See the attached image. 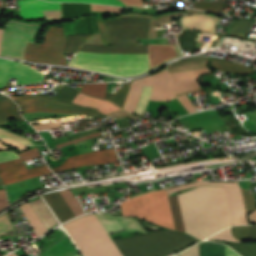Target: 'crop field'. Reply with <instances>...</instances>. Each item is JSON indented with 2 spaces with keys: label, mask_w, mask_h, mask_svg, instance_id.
Here are the masks:
<instances>
[{
  "label": "crop field",
  "mask_w": 256,
  "mask_h": 256,
  "mask_svg": "<svg viewBox=\"0 0 256 256\" xmlns=\"http://www.w3.org/2000/svg\"><path fill=\"white\" fill-rule=\"evenodd\" d=\"M76 256H79V255H76Z\"/></svg>",
  "instance_id": "ae633e8c"
},
{
  "label": "crop field",
  "mask_w": 256,
  "mask_h": 256,
  "mask_svg": "<svg viewBox=\"0 0 256 256\" xmlns=\"http://www.w3.org/2000/svg\"><path fill=\"white\" fill-rule=\"evenodd\" d=\"M230 246L242 256H256V244H236L232 242Z\"/></svg>",
  "instance_id": "120bbe31"
},
{
  "label": "crop field",
  "mask_w": 256,
  "mask_h": 256,
  "mask_svg": "<svg viewBox=\"0 0 256 256\" xmlns=\"http://www.w3.org/2000/svg\"><path fill=\"white\" fill-rule=\"evenodd\" d=\"M130 83H128L126 85L123 84V89H122L121 93H107L106 98L113 101L114 103H116L120 107H123V104H124V101H125Z\"/></svg>",
  "instance_id": "5866460e"
},
{
  "label": "crop field",
  "mask_w": 256,
  "mask_h": 256,
  "mask_svg": "<svg viewBox=\"0 0 256 256\" xmlns=\"http://www.w3.org/2000/svg\"><path fill=\"white\" fill-rule=\"evenodd\" d=\"M225 256H239L233 250L225 246Z\"/></svg>",
  "instance_id": "db79e9e6"
},
{
  "label": "crop field",
  "mask_w": 256,
  "mask_h": 256,
  "mask_svg": "<svg viewBox=\"0 0 256 256\" xmlns=\"http://www.w3.org/2000/svg\"><path fill=\"white\" fill-rule=\"evenodd\" d=\"M18 158V155L13 151H2L0 152V162L7 161L10 159Z\"/></svg>",
  "instance_id": "1f2cbd36"
},
{
  "label": "crop field",
  "mask_w": 256,
  "mask_h": 256,
  "mask_svg": "<svg viewBox=\"0 0 256 256\" xmlns=\"http://www.w3.org/2000/svg\"><path fill=\"white\" fill-rule=\"evenodd\" d=\"M0 137H9V138L18 140V141H20V142H22L24 144L33 145V143L31 141H29L28 139H26V138H24V137H22L20 135H17V134H14V133L2 130V129H0Z\"/></svg>",
  "instance_id": "b54c1fbb"
},
{
  "label": "crop field",
  "mask_w": 256,
  "mask_h": 256,
  "mask_svg": "<svg viewBox=\"0 0 256 256\" xmlns=\"http://www.w3.org/2000/svg\"><path fill=\"white\" fill-rule=\"evenodd\" d=\"M204 72H211L209 68L170 74L166 69L156 74L149 101H170L176 93L200 88L197 78ZM189 113L196 112L191 101L185 96L177 97Z\"/></svg>",
  "instance_id": "f4fd0767"
},
{
  "label": "crop field",
  "mask_w": 256,
  "mask_h": 256,
  "mask_svg": "<svg viewBox=\"0 0 256 256\" xmlns=\"http://www.w3.org/2000/svg\"><path fill=\"white\" fill-rule=\"evenodd\" d=\"M218 21L219 18L208 14H196L181 17L179 23L186 30L214 34Z\"/></svg>",
  "instance_id": "cbeb9de0"
},
{
  "label": "crop field",
  "mask_w": 256,
  "mask_h": 256,
  "mask_svg": "<svg viewBox=\"0 0 256 256\" xmlns=\"http://www.w3.org/2000/svg\"><path fill=\"white\" fill-rule=\"evenodd\" d=\"M145 78L132 81V84L125 102V106H124V109L126 111L134 113L136 106L138 104V100L142 91L143 84L145 82Z\"/></svg>",
  "instance_id": "214f88e0"
},
{
  "label": "crop field",
  "mask_w": 256,
  "mask_h": 256,
  "mask_svg": "<svg viewBox=\"0 0 256 256\" xmlns=\"http://www.w3.org/2000/svg\"><path fill=\"white\" fill-rule=\"evenodd\" d=\"M196 185L224 186L232 224H247L241 190L237 182H201L195 184L182 185L171 188L169 190V194L187 188H191Z\"/></svg>",
  "instance_id": "3316defc"
},
{
  "label": "crop field",
  "mask_w": 256,
  "mask_h": 256,
  "mask_svg": "<svg viewBox=\"0 0 256 256\" xmlns=\"http://www.w3.org/2000/svg\"><path fill=\"white\" fill-rule=\"evenodd\" d=\"M59 126H61V124L60 122H57V123H50V124L35 125L34 128H36L37 130H42V129H51Z\"/></svg>",
  "instance_id": "0fb4a251"
},
{
  "label": "crop field",
  "mask_w": 256,
  "mask_h": 256,
  "mask_svg": "<svg viewBox=\"0 0 256 256\" xmlns=\"http://www.w3.org/2000/svg\"><path fill=\"white\" fill-rule=\"evenodd\" d=\"M2 30H0V39H1Z\"/></svg>",
  "instance_id": "0f1d7ab4"
},
{
  "label": "crop field",
  "mask_w": 256,
  "mask_h": 256,
  "mask_svg": "<svg viewBox=\"0 0 256 256\" xmlns=\"http://www.w3.org/2000/svg\"><path fill=\"white\" fill-rule=\"evenodd\" d=\"M224 2H195L194 8L216 12L219 14Z\"/></svg>",
  "instance_id": "028f5c9d"
},
{
  "label": "crop field",
  "mask_w": 256,
  "mask_h": 256,
  "mask_svg": "<svg viewBox=\"0 0 256 256\" xmlns=\"http://www.w3.org/2000/svg\"><path fill=\"white\" fill-rule=\"evenodd\" d=\"M44 199L49 204L55 215L58 217L60 222H65L68 219L74 217V214L65 203L59 192L48 194L44 196Z\"/></svg>",
  "instance_id": "733c2abd"
},
{
  "label": "crop field",
  "mask_w": 256,
  "mask_h": 256,
  "mask_svg": "<svg viewBox=\"0 0 256 256\" xmlns=\"http://www.w3.org/2000/svg\"><path fill=\"white\" fill-rule=\"evenodd\" d=\"M216 189H217V193H218V198H219V203H220V207H221L224 226L227 227V226H230L231 223H230L228 208H227V204H226L224 189H223V187H216Z\"/></svg>",
  "instance_id": "1d83c4d3"
},
{
  "label": "crop field",
  "mask_w": 256,
  "mask_h": 256,
  "mask_svg": "<svg viewBox=\"0 0 256 256\" xmlns=\"http://www.w3.org/2000/svg\"><path fill=\"white\" fill-rule=\"evenodd\" d=\"M179 256H198V244L183 251L182 253L179 254Z\"/></svg>",
  "instance_id": "dbb93151"
},
{
  "label": "crop field",
  "mask_w": 256,
  "mask_h": 256,
  "mask_svg": "<svg viewBox=\"0 0 256 256\" xmlns=\"http://www.w3.org/2000/svg\"><path fill=\"white\" fill-rule=\"evenodd\" d=\"M91 10L124 13V8L91 4Z\"/></svg>",
  "instance_id": "d23c7cc5"
},
{
  "label": "crop field",
  "mask_w": 256,
  "mask_h": 256,
  "mask_svg": "<svg viewBox=\"0 0 256 256\" xmlns=\"http://www.w3.org/2000/svg\"><path fill=\"white\" fill-rule=\"evenodd\" d=\"M114 161L117 160L114 153V149L111 148L103 151L91 152L87 154L70 157L66 161H64L60 167L52 168V170L58 171L66 168L90 164L109 163Z\"/></svg>",
  "instance_id": "22f410ed"
},
{
  "label": "crop field",
  "mask_w": 256,
  "mask_h": 256,
  "mask_svg": "<svg viewBox=\"0 0 256 256\" xmlns=\"http://www.w3.org/2000/svg\"><path fill=\"white\" fill-rule=\"evenodd\" d=\"M241 190H242V194H243L245 211H246V214H247L248 212H250L251 210L256 208V206H255V203H254L253 196L249 192V190H244V189H241Z\"/></svg>",
  "instance_id": "c035e120"
},
{
  "label": "crop field",
  "mask_w": 256,
  "mask_h": 256,
  "mask_svg": "<svg viewBox=\"0 0 256 256\" xmlns=\"http://www.w3.org/2000/svg\"><path fill=\"white\" fill-rule=\"evenodd\" d=\"M101 133L98 132V133H95V134H92V135H89V136H85V137H82V138H79V139H76V140H73V141H70V142H66V143H63V144H60V145H56V147H63L67 144H70V143H74V142H77V141H80V140H85V139H89V137H96V136H100Z\"/></svg>",
  "instance_id": "1d79db26"
},
{
  "label": "crop field",
  "mask_w": 256,
  "mask_h": 256,
  "mask_svg": "<svg viewBox=\"0 0 256 256\" xmlns=\"http://www.w3.org/2000/svg\"><path fill=\"white\" fill-rule=\"evenodd\" d=\"M251 222H256V211L248 215Z\"/></svg>",
  "instance_id": "7b73153f"
},
{
  "label": "crop field",
  "mask_w": 256,
  "mask_h": 256,
  "mask_svg": "<svg viewBox=\"0 0 256 256\" xmlns=\"http://www.w3.org/2000/svg\"><path fill=\"white\" fill-rule=\"evenodd\" d=\"M232 234L236 239L249 240L248 226H236L232 229Z\"/></svg>",
  "instance_id": "b80d0937"
},
{
  "label": "crop field",
  "mask_w": 256,
  "mask_h": 256,
  "mask_svg": "<svg viewBox=\"0 0 256 256\" xmlns=\"http://www.w3.org/2000/svg\"><path fill=\"white\" fill-rule=\"evenodd\" d=\"M250 240H256V226H249Z\"/></svg>",
  "instance_id": "0765c3eb"
},
{
  "label": "crop field",
  "mask_w": 256,
  "mask_h": 256,
  "mask_svg": "<svg viewBox=\"0 0 256 256\" xmlns=\"http://www.w3.org/2000/svg\"><path fill=\"white\" fill-rule=\"evenodd\" d=\"M194 242L195 239L170 230L114 241L123 256H165Z\"/></svg>",
  "instance_id": "412701ff"
},
{
  "label": "crop field",
  "mask_w": 256,
  "mask_h": 256,
  "mask_svg": "<svg viewBox=\"0 0 256 256\" xmlns=\"http://www.w3.org/2000/svg\"><path fill=\"white\" fill-rule=\"evenodd\" d=\"M102 45L111 44L108 30L103 21H97Z\"/></svg>",
  "instance_id": "c21b1889"
},
{
  "label": "crop field",
  "mask_w": 256,
  "mask_h": 256,
  "mask_svg": "<svg viewBox=\"0 0 256 256\" xmlns=\"http://www.w3.org/2000/svg\"><path fill=\"white\" fill-rule=\"evenodd\" d=\"M28 221L31 224L32 229L35 231L37 237L43 235L45 232H47V229L39 219V217L36 215L32 207L29 205V203H25L21 206H19Z\"/></svg>",
  "instance_id": "00972430"
},
{
  "label": "crop field",
  "mask_w": 256,
  "mask_h": 256,
  "mask_svg": "<svg viewBox=\"0 0 256 256\" xmlns=\"http://www.w3.org/2000/svg\"><path fill=\"white\" fill-rule=\"evenodd\" d=\"M0 185H2V184L0 183Z\"/></svg>",
  "instance_id": "d14b1444"
},
{
  "label": "crop field",
  "mask_w": 256,
  "mask_h": 256,
  "mask_svg": "<svg viewBox=\"0 0 256 256\" xmlns=\"http://www.w3.org/2000/svg\"><path fill=\"white\" fill-rule=\"evenodd\" d=\"M20 11L60 9L59 3L39 0L18 1ZM21 18H44L42 11L20 12Z\"/></svg>",
  "instance_id": "5142ce71"
},
{
  "label": "crop field",
  "mask_w": 256,
  "mask_h": 256,
  "mask_svg": "<svg viewBox=\"0 0 256 256\" xmlns=\"http://www.w3.org/2000/svg\"><path fill=\"white\" fill-rule=\"evenodd\" d=\"M1 141L5 142L6 144L16 148L17 150H25L27 149L24 145L20 144L19 142L17 141H14V140H8V139H0ZM3 149H8L6 148L5 146L1 145L0 144V150H3Z\"/></svg>",
  "instance_id": "73cf0c24"
},
{
  "label": "crop field",
  "mask_w": 256,
  "mask_h": 256,
  "mask_svg": "<svg viewBox=\"0 0 256 256\" xmlns=\"http://www.w3.org/2000/svg\"><path fill=\"white\" fill-rule=\"evenodd\" d=\"M51 1H70V2H89V3H99V4H114V0H51Z\"/></svg>",
  "instance_id": "89e229c0"
},
{
  "label": "crop field",
  "mask_w": 256,
  "mask_h": 256,
  "mask_svg": "<svg viewBox=\"0 0 256 256\" xmlns=\"http://www.w3.org/2000/svg\"><path fill=\"white\" fill-rule=\"evenodd\" d=\"M8 256H16L15 254H10V255H8Z\"/></svg>",
  "instance_id": "e1d0b9f6"
},
{
  "label": "crop field",
  "mask_w": 256,
  "mask_h": 256,
  "mask_svg": "<svg viewBox=\"0 0 256 256\" xmlns=\"http://www.w3.org/2000/svg\"><path fill=\"white\" fill-rule=\"evenodd\" d=\"M107 83L103 84H84L81 91L95 97L103 98L105 97ZM80 91V92H81Z\"/></svg>",
  "instance_id": "750c4746"
},
{
  "label": "crop field",
  "mask_w": 256,
  "mask_h": 256,
  "mask_svg": "<svg viewBox=\"0 0 256 256\" xmlns=\"http://www.w3.org/2000/svg\"><path fill=\"white\" fill-rule=\"evenodd\" d=\"M21 106L22 113L30 112H55V113H73V112H87L102 114L97 109L81 107L73 103L53 99L50 97L29 94L24 97H13Z\"/></svg>",
  "instance_id": "5a996713"
},
{
  "label": "crop field",
  "mask_w": 256,
  "mask_h": 256,
  "mask_svg": "<svg viewBox=\"0 0 256 256\" xmlns=\"http://www.w3.org/2000/svg\"><path fill=\"white\" fill-rule=\"evenodd\" d=\"M149 21L134 20L106 23L112 46L85 44L79 51L97 53H148L147 45H137V38H146ZM150 69L178 57L173 46L148 45ZM77 52L70 65L114 75H136L149 70L148 54L117 55Z\"/></svg>",
  "instance_id": "8a807250"
},
{
  "label": "crop field",
  "mask_w": 256,
  "mask_h": 256,
  "mask_svg": "<svg viewBox=\"0 0 256 256\" xmlns=\"http://www.w3.org/2000/svg\"><path fill=\"white\" fill-rule=\"evenodd\" d=\"M78 94L79 91L64 85L53 97L72 102Z\"/></svg>",
  "instance_id": "d32e631a"
},
{
  "label": "crop field",
  "mask_w": 256,
  "mask_h": 256,
  "mask_svg": "<svg viewBox=\"0 0 256 256\" xmlns=\"http://www.w3.org/2000/svg\"><path fill=\"white\" fill-rule=\"evenodd\" d=\"M201 256H224V245L211 242H202Z\"/></svg>",
  "instance_id": "ae1a2a85"
},
{
  "label": "crop field",
  "mask_w": 256,
  "mask_h": 256,
  "mask_svg": "<svg viewBox=\"0 0 256 256\" xmlns=\"http://www.w3.org/2000/svg\"><path fill=\"white\" fill-rule=\"evenodd\" d=\"M60 194L62 195L66 203L69 205L75 216L83 214V211L80 205L78 204L75 196L72 195L69 189L60 191Z\"/></svg>",
  "instance_id": "bd1437ed"
},
{
  "label": "crop field",
  "mask_w": 256,
  "mask_h": 256,
  "mask_svg": "<svg viewBox=\"0 0 256 256\" xmlns=\"http://www.w3.org/2000/svg\"><path fill=\"white\" fill-rule=\"evenodd\" d=\"M65 43L63 29L49 26L43 44H27L25 60L68 65L62 53Z\"/></svg>",
  "instance_id": "e52e79f7"
},
{
  "label": "crop field",
  "mask_w": 256,
  "mask_h": 256,
  "mask_svg": "<svg viewBox=\"0 0 256 256\" xmlns=\"http://www.w3.org/2000/svg\"><path fill=\"white\" fill-rule=\"evenodd\" d=\"M208 239L230 240V241H234V242H240L239 240H236L233 238V236L230 232V228L225 229V230L211 236Z\"/></svg>",
  "instance_id": "03da06ac"
},
{
  "label": "crop field",
  "mask_w": 256,
  "mask_h": 256,
  "mask_svg": "<svg viewBox=\"0 0 256 256\" xmlns=\"http://www.w3.org/2000/svg\"><path fill=\"white\" fill-rule=\"evenodd\" d=\"M85 19H86V23H87V27H88L89 33H92V31H93V33H96L93 16H90V17H89L90 23H91V27H92V31H91V27H90V23H89L88 17H85ZM85 19H84V17L82 18V21H83V29H84V33H88L87 27H86V23H85ZM80 21H81V18H80ZM95 24H96V22H95ZM81 29H82V22H81ZM96 30H97V33H99L97 26H96ZM74 33H75V34L81 33L79 20H78V22H77V24H76V26H75ZM82 33H83V30H82Z\"/></svg>",
  "instance_id": "e1f06a70"
},
{
  "label": "crop field",
  "mask_w": 256,
  "mask_h": 256,
  "mask_svg": "<svg viewBox=\"0 0 256 256\" xmlns=\"http://www.w3.org/2000/svg\"><path fill=\"white\" fill-rule=\"evenodd\" d=\"M9 76L16 78L15 84L43 82L45 74L23 64L0 60V87L7 86Z\"/></svg>",
  "instance_id": "28ad6ade"
},
{
  "label": "crop field",
  "mask_w": 256,
  "mask_h": 256,
  "mask_svg": "<svg viewBox=\"0 0 256 256\" xmlns=\"http://www.w3.org/2000/svg\"><path fill=\"white\" fill-rule=\"evenodd\" d=\"M169 201H170L172 215L175 222L176 231L185 232L177 196H173L169 198Z\"/></svg>",
  "instance_id": "d3111659"
},
{
  "label": "crop field",
  "mask_w": 256,
  "mask_h": 256,
  "mask_svg": "<svg viewBox=\"0 0 256 256\" xmlns=\"http://www.w3.org/2000/svg\"><path fill=\"white\" fill-rule=\"evenodd\" d=\"M123 216L138 218L174 228L166 190L136 196L121 203Z\"/></svg>",
  "instance_id": "dd49c442"
},
{
  "label": "crop field",
  "mask_w": 256,
  "mask_h": 256,
  "mask_svg": "<svg viewBox=\"0 0 256 256\" xmlns=\"http://www.w3.org/2000/svg\"><path fill=\"white\" fill-rule=\"evenodd\" d=\"M45 173H51L46 165L27 170L20 159L0 164V177L4 185Z\"/></svg>",
  "instance_id": "d1516ede"
},
{
  "label": "crop field",
  "mask_w": 256,
  "mask_h": 256,
  "mask_svg": "<svg viewBox=\"0 0 256 256\" xmlns=\"http://www.w3.org/2000/svg\"><path fill=\"white\" fill-rule=\"evenodd\" d=\"M178 198L187 234L203 240L224 229L215 187L200 186Z\"/></svg>",
  "instance_id": "ac0d7876"
},
{
  "label": "crop field",
  "mask_w": 256,
  "mask_h": 256,
  "mask_svg": "<svg viewBox=\"0 0 256 256\" xmlns=\"http://www.w3.org/2000/svg\"><path fill=\"white\" fill-rule=\"evenodd\" d=\"M19 157L21 158V160L24 162L30 158H34V157H39L40 154L38 152V149L37 148H32V149H29L27 151H24L20 154H18Z\"/></svg>",
  "instance_id": "425ffa30"
},
{
  "label": "crop field",
  "mask_w": 256,
  "mask_h": 256,
  "mask_svg": "<svg viewBox=\"0 0 256 256\" xmlns=\"http://www.w3.org/2000/svg\"><path fill=\"white\" fill-rule=\"evenodd\" d=\"M46 20L49 22H61L60 10L43 11Z\"/></svg>",
  "instance_id": "5d738f31"
},
{
  "label": "crop field",
  "mask_w": 256,
  "mask_h": 256,
  "mask_svg": "<svg viewBox=\"0 0 256 256\" xmlns=\"http://www.w3.org/2000/svg\"><path fill=\"white\" fill-rule=\"evenodd\" d=\"M63 20L73 19L81 15L90 14L89 4L61 3Z\"/></svg>",
  "instance_id": "92a150f3"
},
{
  "label": "crop field",
  "mask_w": 256,
  "mask_h": 256,
  "mask_svg": "<svg viewBox=\"0 0 256 256\" xmlns=\"http://www.w3.org/2000/svg\"><path fill=\"white\" fill-rule=\"evenodd\" d=\"M151 88L152 87L144 86V89H143V92H142V95L140 97L139 104H138V107H137V110H136V114H139V115L142 116L143 111H144V109L146 107V104L148 102V98H149Z\"/></svg>",
  "instance_id": "0bd39190"
},
{
  "label": "crop field",
  "mask_w": 256,
  "mask_h": 256,
  "mask_svg": "<svg viewBox=\"0 0 256 256\" xmlns=\"http://www.w3.org/2000/svg\"><path fill=\"white\" fill-rule=\"evenodd\" d=\"M11 118L16 121L23 120L18 111V106L9 97H6L0 102V124L6 123Z\"/></svg>",
  "instance_id": "bc2a9ffb"
},
{
  "label": "crop field",
  "mask_w": 256,
  "mask_h": 256,
  "mask_svg": "<svg viewBox=\"0 0 256 256\" xmlns=\"http://www.w3.org/2000/svg\"><path fill=\"white\" fill-rule=\"evenodd\" d=\"M5 97H6V96L0 94V101H1L2 99H4Z\"/></svg>",
  "instance_id": "78b8030e"
},
{
  "label": "crop field",
  "mask_w": 256,
  "mask_h": 256,
  "mask_svg": "<svg viewBox=\"0 0 256 256\" xmlns=\"http://www.w3.org/2000/svg\"><path fill=\"white\" fill-rule=\"evenodd\" d=\"M93 34L67 35L68 45L64 52L75 53L77 49L87 42Z\"/></svg>",
  "instance_id": "eef30255"
},
{
  "label": "crop field",
  "mask_w": 256,
  "mask_h": 256,
  "mask_svg": "<svg viewBox=\"0 0 256 256\" xmlns=\"http://www.w3.org/2000/svg\"><path fill=\"white\" fill-rule=\"evenodd\" d=\"M211 65L218 70H222L228 73H237L241 75H247L254 71L253 69L245 65H240L232 62H225L216 59H211Z\"/></svg>",
  "instance_id": "dafd665d"
},
{
  "label": "crop field",
  "mask_w": 256,
  "mask_h": 256,
  "mask_svg": "<svg viewBox=\"0 0 256 256\" xmlns=\"http://www.w3.org/2000/svg\"><path fill=\"white\" fill-rule=\"evenodd\" d=\"M12 228L13 226L7 220V215L5 214L1 216L0 217V236Z\"/></svg>",
  "instance_id": "25e5ab78"
},
{
  "label": "crop field",
  "mask_w": 256,
  "mask_h": 256,
  "mask_svg": "<svg viewBox=\"0 0 256 256\" xmlns=\"http://www.w3.org/2000/svg\"><path fill=\"white\" fill-rule=\"evenodd\" d=\"M73 103L83 105V106H86V107L98 108L99 111H101L104 114L110 113V112H113V111H116V110H120V108H118L117 106L113 105L112 103H110L108 101H103V100H99V99L90 98V97H88L86 95H83L81 93L75 98Z\"/></svg>",
  "instance_id": "4a817a6b"
},
{
  "label": "crop field",
  "mask_w": 256,
  "mask_h": 256,
  "mask_svg": "<svg viewBox=\"0 0 256 256\" xmlns=\"http://www.w3.org/2000/svg\"><path fill=\"white\" fill-rule=\"evenodd\" d=\"M83 256H122L94 214L63 225Z\"/></svg>",
  "instance_id": "34b2d1b8"
},
{
  "label": "crop field",
  "mask_w": 256,
  "mask_h": 256,
  "mask_svg": "<svg viewBox=\"0 0 256 256\" xmlns=\"http://www.w3.org/2000/svg\"><path fill=\"white\" fill-rule=\"evenodd\" d=\"M96 217L101 222L108 234L126 228L127 231L143 232L137 222L131 219L114 218L105 215L96 214Z\"/></svg>",
  "instance_id": "d9b57169"
},
{
  "label": "crop field",
  "mask_w": 256,
  "mask_h": 256,
  "mask_svg": "<svg viewBox=\"0 0 256 256\" xmlns=\"http://www.w3.org/2000/svg\"><path fill=\"white\" fill-rule=\"evenodd\" d=\"M7 205H8V203H7L5 191L0 190V209L4 208Z\"/></svg>",
  "instance_id": "9d1cf04e"
},
{
  "label": "crop field",
  "mask_w": 256,
  "mask_h": 256,
  "mask_svg": "<svg viewBox=\"0 0 256 256\" xmlns=\"http://www.w3.org/2000/svg\"><path fill=\"white\" fill-rule=\"evenodd\" d=\"M40 24L25 25L9 21L2 34L1 56L24 59L27 42H34L41 29Z\"/></svg>",
  "instance_id": "d8731c3e"
},
{
  "label": "crop field",
  "mask_w": 256,
  "mask_h": 256,
  "mask_svg": "<svg viewBox=\"0 0 256 256\" xmlns=\"http://www.w3.org/2000/svg\"><path fill=\"white\" fill-rule=\"evenodd\" d=\"M121 1H123L127 5L142 6V4H143V0H121Z\"/></svg>",
  "instance_id": "447ae74e"
},
{
  "label": "crop field",
  "mask_w": 256,
  "mask_h": 256,
  "mask_svg": "<svg viewBox=\"0 0 256 256\" xmlns=\"http://www.w3.org/2000/svg\"><path fill=\"white\" fill-rule=\"evenodd\" d=\"M44 225L48 228L58 223L56 219L53 217L49 209L46 207L42 199L30 202Z\"/></svg>",
  "instance_id": "a9b5d70f"
},
{
  "label": "crop field",
  "mask_w": 256,
  "mask_h": 256,
  "mask_svg": "<svg viewBox=\"0 0 256 256\" xmlns=\"http://www.w3.org/2000/svg\"><path fill=\"white\" fill-rule=\"evenodd\" d=\"M200 36V33L183 31L177 40L181 49L197 48Z\"/></svg>",
  "instance_id": "4177f3b9"
},
{
  "label": "crop field",
  "mask_w": 256,
  "mask_h": 256,
  "mask_svg": "<svg viewBox=\"0 0 256 256\" xmlns=\"http://www.w3.org/2000/svg\"><path fill=\"white\" fill-rule=\"evenodd\" d=\"M256 21L238 20L233 24L230 35L234 37L246 38Z\"/></svg>",
  "instance_id": "730fd06b"
}]
</instances>
